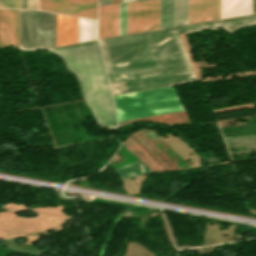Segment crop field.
Wrapping results in <instances>:
<instances>
[{
    "label": "crop field",
    "mask_w": 256,
    "mask_h": 256,
    "mask_svg": "<svg viewBox=\"0 0 256 256\" xmlns=\"http://www.w3.org/2000/svg\"><path fill=\"white\" fill-rule=\"evenodd\" d=\"M256 24V14L172 29L102 39L112 94L196 80L178 34Z\"/></svg>",
    "instance_id": "obj_1"
},
{
    "label": "crop field",
    "mask_w": 256,
    "mask_h": 256,
    "mask_svg": "<svg viewBox=\"0 0 256 256\" xmlns=\"http://www.w3.org/2000/svg\"><path fill=\"white\" fill-rule=\"evenodd\" d=\"M52 50L66 59L68 68L77 73L88 100L101 124L116 125L111 92L97 41L74 44Z\"/></svg>",
    "instance_id": "obj_2"
},
{
    "label": "crop field",
    "mask_w": 256,
    "mask_h": 256,
    "mask_svg": "<svg viewBox=\"0 0 256 256\" xmlns=\"http://www.w3.org/2000/svg\"><path fill=\"white\" fill-rule=\"evenodd\" d=\"M113 98L118 122L185 111L173 86Z\"/></svg>",
    "instance_id": "obj_3"
},
{
    "label": "crop field",
    "mask_w": 256,
    "mask_h": 256,
    "mask_svg": "<svg viewBox=\"0 0 256 256\" xmlns=\"http://www.w3.org/2000/svg\"><path fill=\"white\" fill-rule=\"evenodd\" d=\"M56 14L20 10L19 48L55 46Z\"/></svg>",
    "instance_id": "obj_4"
},
{
    "label": "crop field",
    "mask_w": 256,
    "mask_h": 256,
    "mask_svg": "<svg viewBox=\"0 0 256 256\" xmlns=\"http://www.w3.org/2000/svg\"><path fill=\"white\" fill-rule=\"evenodd\" d=\"M160 0L128 3L127 34L159 29Z\"/></svg>",
    "instance_id": "obj_5"
},
{
    "label": "crop field",
    "mask_w": 256,
    "mask_h": 256,
    "mask_svg": "<svg viewBox=\"0 0 256 256\" xmlns=\"http://www.w3.org/2000/svg\"><path fill=\"white\" fill-rule=\"evenodd\" d=\"M39 10L97 19V0H39Z\"/></svg>",
    "instance_id": "obj_6"
},
{
    "label": "crop field",
    "mask_w": 256,
    "mask_h": 256,
    "mask_svg": "<svg viewBox=\"0 0 256 256\" xmlns=\"http://www.w3.org/2000/svg\"><path fill=\"white\" fill-rule=\"evenodd\" d=\"M19 10L0 9V47H18Z\"/></svg>",
    "instance_id": "obj_7"
},
{
    "label": "crop field",
    "mask_w": 256,
    "mask_h": 256,
    "mask_svg": "<svg viewBox=\"0 0 256 256\" xmlns=\"http://www.w3.org/2000/svg\"><path fill=\"white\" fill-rule=\"evenodd\" d=\"M220 0H189V24L219 19Z\"/></svg>",
    "instance_id": "obj_8"
},
{
    "label": "crop field",
    "mask_w": 256,
    "mask_h": 256,
    "mask_svg": "<svg viewBox=\"0 0 256 256\" xmlns=\"http://www.w3.org/2000/svg\"><path fill=\"white\" fill-rule=\"evenodd\" d=\"M119 4L99 7L98 38L118 35Z\"/></svg>",
    "instance_id": "obj_9"
},
{
    "label": "crop field",
    "mask_w": 256,
    "mask_h": 256,
    "mask_svg": "<svg viewBox=\"0 0 256 256\" xmlns=\"http://www.w3.org/2000/svg\"><path fill=\"white\" fill-rule=\"evenodd\" d=\"M77 43V18L57 14L56 46Z\"/></svg>",
    "instance_id": "obj_10"
},
{
    "label": "crop field",
    "mask_w": 256,
    "mask_h": 256,
    "mask_svg": "<svg viewBox=\"0 0 256 256\" xmlns=\"http://www.w3.org/2000/svg\"><path fill=\"white\" fill-rule=\"evenodd\" d=\"M251 13V0H221L220 19Z\"/></svg>",
    "instance_id": "obj_11"
},
{
    "label": "crop field",
    "mask_w": 256,
    "mask_h": 256,
    "mask_svg": "<svg viewBox=\"0 0 256 256\" xmlns=\"http://www.w3.org/2000/svg\"><path fill=\"white\" fill-rule=\"evenodd\" d=\"M97 21L78 18V42L96 39Z\"/></svg>",
    "instance_id": "obj_12"
},
{
    "label": "crop field",
    "mask_w": 256,
    "mask_h": 256,
    "mask_svg": "<svg viewBox=\"0 0 256 256\" xmlns=\"http://www.w3.org/2000/svg\"><path fill=\"white\" fill-rule=\"evenodd\" d=\"M114 171L122 178L136 176L144 173L151 172L140 161L114 169Z\"/></svg>",
    "instance_id": "obj_13"
},
{
    "label": "crop field",
    "mask_w": 256,
    "mask_h": 256,
    "mask_svg": "<svg viewBox=\"0 0 256 256\" xmlns=\"http://www.w3.org/2000/svg\"><path fill=\"white\" fill-rule=\"evenodd\" d=\"M188 24V0H174V26Z\"/></svg>",
    "instance_id": "obj_14"
},
{
    "label": "crop field",
    "mask_w": 256,
    "mask_h": 256,
    "mask_svg": "<svg viewBox=\"0 0 256 256\" xmlns=\"http://www.w3.org/2000/svg\"><path fill=\"white\" fill-rule=\"evenodd\" d=\"M173 26V0H161L160 29Z\"/></svg>",
    "instance_id": "obj_15"
},
{
    "label": "crop field",
    "mask_w": 256,
    "mask_h": 256,
    "mask_svg": "<svg viewBox=\"0 0 256 256\" xmlns=\"http://www.w3.org/2000/svg\"><path fill=\"white\" fill-rule=\"evenodd\" d=\"M0 7L37 9V0H0Z\"/></svg>",
    "instance_id": "obj_16"
},
{
    "label": "crop field",
    "mask_w": 256,
    "mask_h": 256,
    "mask_svg": "<svg viewBox=\"0 0 256 256\" xmlns=\"http://www.w3.org/2000/svg\"><path fill=\"white\" fill-rule=\"evenodd\" d=\"M127 3L120 4L119 35L126 34Z\"/></svg>",
    "instance_id": "obj_17"
},
{
    "label": "crop field",
    "mask_w": 256,
    "mask_h": 256,
    "mask_svg": "<svg viewBox=\"0 0 256 256\" xmlns=\"http://www.w3.org/2000/svg\"><path fill=\"white\" fill-rule=\"evenodd\" d=\"M111 4V0H99V5Z\"/></svg>",
    "instance_id": "obj_18"
},
{
    "label": "crop field",
    "mask_w": 256,
    "mask_h": 256,
    "mask_svg": "<svg viewBox=\"0 0 256 256\" xmlns=\"http://www.w3.org/2000/svg\"><path fill=\"white\" fill-rule=\"evenodd\" d=\"M253 13H256V0H253Z\"/></svg>",
    "instance_id": "obj_19"
},
{
    "label": "crop field",
    "mask_w": 256,
    "mask_h": 256,
    "mask_svg": "<svg viewBox=\"0 0 256 256\" xmlns=\"http://www.w3.org/2000/svg\"><path fill=\"white\" fill-rule=\"evenodd\" d=\"M119 2H121V0H112V4L119 3Z\"/></svg>",
    "instance_id": "obj_20"
},
{
    "label": "crop field",
    "mask_w": 256,
    "mask_h": 256,
    "mask_svg": "<svg viewBox=\"0 0 256 256\" xmlns=\"http://www.w3.org/2000/svg\"><path fill=\"white\" fill-rule=\"evenodd\" d=\"M129 1H136V0H122V2H129Z\"/></svg>",
    "instance_id": "obj_21"
},
{
    "label": "crop field",
    "mask_w": 256,
    "mask_h": 256,
    "mask_svg": "<svg viewBox=\"0 0 256 256\" xmlns=\"http://www.w3.org/2000/svg\"><path fill=\"white\" fill-rule=\"evenodd\" d=\"M137 1H140V0H137Z\"/></svg>",
    "instance_id": "obj_22"
}]
</instances>
